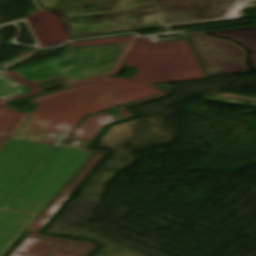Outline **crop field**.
Segmentation results:
<instances>
[{"instance_id":"8a807250","label":"crop field","mask_w":256,"mask_h":256,"mask_svg":"<svg viewBox=\"0 0 256 256\" xmlns=\"http://www.w3.org/2000/svg\"><path fill=\"white\" fill-rule=\"evenodd\" d=\"M57 98L41 102L0 152V256L22 232L33 230L11 256H18L40 228L89 174L82 164L89 147L109 123ZM42 229V228H41Z\"/></svg>"},{"instance_id":"ac0d7876","label":"crop field","mask_w":256,"mask_h":256,"mask_svg":"<svg viewBox=\"0 0 256 256\" xmlns=\"http://www.w3.org/2000/svg\"><path fill=\"white\" fill-rule=\"evenodd\" d=\"M38 91L41 90L0 71V99L9 102Z\"/></svg>"}]
</instances>
